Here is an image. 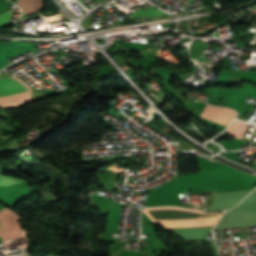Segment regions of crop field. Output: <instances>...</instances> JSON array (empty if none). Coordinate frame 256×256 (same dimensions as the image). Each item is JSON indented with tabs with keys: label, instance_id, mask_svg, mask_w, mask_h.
Wrapping results in <instances>:
<instances>
[{
	"label": "crop field",
	"instance_id": "34b2d1b8",
	"mask_svg": "<svg viewBox=\"0 0 256 256\" xmlns=\"http://www.w3.org/2000/svg\"><path fill=\"white\" fill-rule=\"evenodd\" d=\"M28 91H31L30 87L17 78L7 75L0 78V95Z\"/></svg>",
	"mask_w": 256,
	"mask_h": 256
},
{
	"label": "crop field",
	"instance_id": "ac0d7876",
	"mask_svg": "<svg viewBox=\"0 0 256 256\" xmlns=\"http://www.w3.org/2000/svg\"><path fill=\"white\" fill-rule=\"evenodd\" d=\"M235 115L233 110L206 105L201 117L227 125Z\"/></svg>",
	"mask_w": 256,
	"mask_h": 256
},
{
	"label": "crop field",
	"instance_id": "d8731c3e",
	"mask_svg": "<svg viewBox=\"0 0 256 256\" xmlns=\"http://www.w3.org/2000/svg\"><path fill=\"white\" fill-rule=\"evenodd\" d=\"M20 182H24L23 180H19V179H15V178H11V177H7V176H3L0 175V185L5 186V185H13V184H17Z\"/></svg>",
	"mask_w": 256,
	"mask_h": 256
},
{
	"label": "crop field",
	"instance_id": "412701ff",
	"mask_svg": "<svg viewBox=\"0 0 256 256\" xmlns=\"http://www.w3.org/2000/svg\"><path fill=\"white\" fill-rule=\"evenodd\" d=\"M226 213L233 214H256V190L250 193L238 206Z\"/></svg>",
	"mask_w": 256,
	"mask_h": 256
},
{
	"label": "crop field",
	"instance_id": "5a996713",
	"mask_svg": "<svg viewBox=\"0 0 256 256\" xmlns=\"http://www.w3.org/2000/svg\"><path fill=\"white\" fill-rule=\"evenodd\" d=\"M10 17H11L10 10L0 15V28L8 24Z\"/></svg>",
	"mask_w": 256,
	"mask_h": 256
},
{
	"label": "crop field",
	"instance_id": "dd49c442",
	"mask_svg": "<svg viewBox=\"0 0 256 256\" xmlns=\"http://www.w3.org/2000/svg\"><path fill=\"white\" fill-rule=\"evenodd\" d=\"M248 124L235 120L232 125L224 132L231 134L234 138H243Z\"/></svg>",
	"mask_w": 256,
	"mask_h": 256
},
{
	"label": "crop field",
	"instance_id": "e52e79f7",
	"mask_svg": "<svg viewBox=\"0 0 256 256\" xmlns=\"http://www.w3.org/2000/svg\"><path fill=\"white\" fill-rule=\"evenodd\" d=\"M153 16H170L167 15L152 5L148 7L146 10L138 9L133 14H131L128 18H137V17H153Z\"/></svg>",
	"mask_w": 256,
	"mask_h": 256
},
{
	"label": "crop field",
	"instance_id": "f4fd0767",
	"mask_svg": "<svg viewBox=\"0 0 256 256\" xmlns=\"http://www.w3.org/2000/svg\"><path fill=\"white\" fill-rule=\"evenodd\" d=\"M42 4V0H18V5L24 11L25 15L41 10Z\"/></svg>",
	"mask_w": 256,
	"mask_h": 256
},
{
	"label": "crop field",
	"instance_id": "8a807250",
	"mask_svg": "<svg viewBox=\"0 0 256 256\" xmlns=\"http://www.w3.org/2000/svg\"><path fill=\"white\" fill-rule=\"evenodd\" d=\"M19 219L21 218L17 214L6 208H3L0 211V223L3 241L6 239L13 240L21 238L23 236L22 230L20 229V225L17 222Z\"/></svg>",
	"mask_w": 256,
	"mask_h": 256
}]
</instances>
